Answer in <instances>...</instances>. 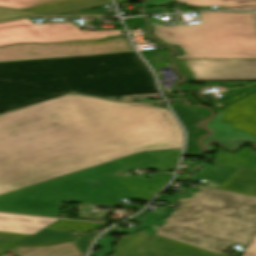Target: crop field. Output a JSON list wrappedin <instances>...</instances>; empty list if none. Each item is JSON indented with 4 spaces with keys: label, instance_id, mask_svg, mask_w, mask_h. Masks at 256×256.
Returning a JSON list of instances; mask_svg holds the SVG:
<instances>
[{
    "label": "crop field",
    "instance_id": "20",
    "mask_svg": "<svg viewBox=\"0 0 256 256\" xmlns=\"http://www.w3.org/2000/svg\"><path fill=\"white\" fill-rule=\"evenodd\" d=\"M98 232H100V231H96V232L81 236L74 241L77 248L79 249V251L81 252V254L83 256L86 255V253L89 249V241H92L95 238L94 234H96Z\"/></svg>",
    "mask_w": 256,
    "mask_h": 256
},
{
    "label": "crop field",
    "instance_id": "24",
    "mask_svg": "<svg viewBox=\"0 0 256 256\" xmlns=\"http://www.w3.org/2000/svg\"><path fill=\"white\" fill-rule=\"evenodd\" d=\"M241 256H256V229L249 246Z\"/></svg>",
    "mask_w": 256,
    "mask_h": 256
},
{
    "label": "crop field",
    "instance_id": "22",
    "mask_svg": "<svg viewBox=\"0 0 256 256\" xmlns=\"http://www.w3.org/2000/svg\"><path fill=\"white\" fill-rule=\"evenodd\" d=\"M191 6H217L223 5V0H175Z\"/></svg>",
    "mask_w": 256,
    "mask_h": 256
},
{
    "label": "crop field",
    "instance_id": "25",
    "mask_svg": "<svg viewBox=\"0 0 256 256\" xmlns=\"http://www.w3.org/2000/svg\"><path fill=\"white\" fill-rule=\"evenodd\" d=\"M175 62H177L180 66V72H182L184 75L188 76L190 80H196L194 75L186 68L183 59H174Z\"/></svg>",
    "mask_w": 256,
    "mask_h": 256
},
{
    "label": "crop field",
    "instance_id": "13",
    "mask_svg": "<svg viewBox=\"0 0 256 256\" xmlns=\"http://www.w3.org/2000/svg\"><path fill=\"white\" fill-rule=\"evenodd\" d=\"M212 163L256 169V151L251 152V148H245L242 151L230 153L219 149Z\"/></svg>",
    "mask_w": 256,
    "mask_h": 256
},
{
    "label": "crop field",
    "instance_id": "1",
    "mask_svg": "<svg viewBox=\"0 0 256 256\" xmlns=\"http://www.w3.org/2000/svg\"><path fill=\"white\" fill-rule=\"evenodd\" d=\"M182 144L168 109L72 94L0 116V195Z\"/></svg>",
    "mask_w": 256,
    "mask_h": 256
},
{
    "label": "crop field",
    "instance_id": "12",
    "mask_svg": "<svg viewBox=\"0 0 256 256\" xmlns=\"http://www.w3.org/2000/svg\"><path fill=\"white\" fill-rule=\"evenodd\" d=\"M9 252L17 256H82L73 242L53 246L17 247Z\"/></svg>",
    "mask_w": 256,
    "mask_h": 256
},
{
    "label": "crop field",
    "instance_id": "16",
    "mask_svg": "<svg viewBox=\"0 0 256 256\" xmlns=\"http://www.w3.org/2000/svg\"><path fill=\"white\" fill-rule=\"evenodd\" d=\"M221 188L256 195V170L242 168Z\"/></svg>",
    "mask_w": 256,
    "mask_h": 256
},
{
    "label": "crop field",
    "instance_id": "9",
    "mask_svg": "<svg viewBox=\"0 0 256 256\" xmlns=\"http://www.w3.org/2000/svg\"><path fill=\"white\" fill-rule=\"evenodd\" d=\"M77 237L71 232L42 229L33 235L0 232V254L16 245H51L62 241H74Z\"/></svg>",
    "mask_w": 256,
    "mask_h": 256
},
{
    "label": "crop field",
    "instance_id": "29",
    "mask_svg": "<svg viewBox=\"0 0 256 256\" xmlns=\"http://www.w3.org/2000/svg\"><path fill=\"white\" fill-rule=\"evenodd\" d=\"M146 13L150 14V13H165V12L163 9H150V10H147Z\"/></svg>",
    "mask_w": 256,
    "mask_h": 256
},
{
    "label": "crop field",
    "instance_id": "2",
    "mask_svg": "<svg viewBox=\"0 0 256 256\" xmlns=\"http://www.w3.org/2000/svg\"><path fill=\"white\" fill-rule=\"evenodd\" d=\"M72 91L111 97L158 89L136 52L0 63V111Z\"/></svg>",
    "mask_w": 256,
    "mask_h": 256
},
{
    "label": "crop field",
    "instance_id": "31",
    "mask_svg": "<svg viewBox=\"0 0 256 256\" xmlns=\"http://www.w3.org/2000/svg\"><path fill=\"white\" fill-rule=\"evenodd\" d=\"M116 2H130L129 0H115Z\"/></svg>",
    "mask_w": 256,
    "mask_h": 256
},
{
    "label": "crop field",
    "instance_id": "10",
    "mask_svg": "<svg viewBox=\"0 0 256 256\" xmlns=\"http://www.w3.org/2000/svg\"><path fill=\"white\" fill-rule=\"evenodd\" d=\"M55 219L0 214V231L33 234Z\"/></svg>",
    "mask_w": 256,
    "mask_h": 256
},
{
    "label": "crop field",
    "instance_id": "15",
    "mask_svg": "<svg viewBox=\"0 0 256 256\" xmlns=\"http://www.w3.org/2000/svg\"><path fill=\"white\" fill-rule=\"evenodd\" d=\"M171 108L183 123L188 133L206 132L198 129L196 127V123L209 117L208 110L189 108L184 106L182 103L171 106Z\"/></svg>",
    "mask_w": 256,
    "mask_h": 256
},
{
    "label": "crop field",
    "instance_id": "18",
    "mask_svg": "<svg viewBox=\"0 0 256 256\" xmlns=\"http://www.w3.org/2000/svg\"><path fill=\"white\" fill-rule=\"evenodd\" d=\"M64 0H0V6L24 9Z\"/></svg>",
    "mask_w": 256,
    "mask_h": 256
},
{
    "label": "crop field",
    "instance_id": "11",
    "mask_svg": "<svg viewBox=\"0 0 256 256\" xmlns=\"http://www.w3.org/2000/svg\"><path fill=\"white\" fill-rule=\"evenodd\" d=\"M223 112L220 111L216 114L215 118L210 122L206 123L207 127L213 130L215 133L209 137L211 139L220 140L222 144L231 147L226 141H234L243 139L244 141H252L256 143V137L243 132L225 122L222 121Z\"/></svg>",
    "mask_w": 256,
    "mask_h": 256
},
{
    "label": "crop field",
    "instance_id": "30",
    "mask_svg": "<svg viewBox=\"0 0 256 256\" xmlns=\"http://www.w3.org/2000/svg\"><path fill=\"white\" fill-rule=\"evenodd\" d=\"M166 98H178L177 95H170V96H165Z\"/></svg>",
    "mask_w": 256,
    "mask_h": 256
},
{
    "label": "crop field",
    "instance_id": "5",
    "mask_svg": "<svg viewBox=\"0 0 256 256\" xmlns=\"http://www.w3.org/2000/svg\"><path fill=\"white\" fill-rule=\"evenodd\" d=\"M199 14L197 25H153V35L185 51L171 58H256V13Z\"/></svg>",
    "mask_w": 256,
    "mask_h": 256
},
{
    "label": "crop field",
    "instance_id": "17",
    "mask_svg": "<svg viewBox=\"0 0 256 256\" xmlns=\"http://www.w3.org/2000/svg\"><path fill=\"white\" fill-rule=\"evenodd\" d=\"M237 168L217 165L210 170L200 169V173L195 175L197 179L223 182L229 175H231Z\"/></svg>",
    "mask_w": 256,
    "mask_h": 256
},
{
    "label": "crop field",
    "instance_id": "8",
    "mask_svg": "<svg viewBox=\"0 0 256 256\" xmlns=\"http://www.w3.org/2000/svg\"><path fill=\"white\" fill-rule=\"evenodd\" d=\"M197 80L256 79V60H184Z\"/></svg>",
    "mask_w": 256,
    "mask_h": 256
},
{
    "label": "crop field",
    "instance_id": "3",
    "mask_svg": "<svg viewBox=\"0 0 256 256\" xmlns=\"http://www.w3.org/2000/svg\"><path fill=\"white\" fill-rule=\"evenodd\" d=\"M177 150L139 153L0 196V212L56 217L62 201L142 209L121 198L149 201L173 174L120 175L135 168L175 170Z\"/></svg>",
    "mask_w": 256,
    "mask_h": 256
},
{
    "label": "crop field",
    "instance_id": "6",
    "mask_svg": "<svg viewBox=\"0 0 256 256\" xmlns=\"http://www.w3.org/2000/svg\"><path fill=\"white\" fill-rule=\"evenodd\" d=\"M117 35H122L121 30L80 31L73 23L35 25L28 18L0 23V46L15 43L100 40Z\"/></svg>",
    "mask_w": 256,
    "mask_h": 256
},
{
    "label": "crop field",
    "instance_id": "23",
    "mask_svg": "<svg viewBox=\"0 0 256 256\" xmlns=\"http://www.w3.org/2000/svg\"><path fill=\"white\" fill-rule=\"evenodd\" d=\"M27 15H41V14H35V13L22 12V11L0 8V20L22 17V16H27Z\"/></svg>",
    "mask_w": 256,
    "mask_h": 256
},
{
    "label": "crop field",
    "instance_id": "27",
    "mask_svg": "<svg viewBox=\"0 0 256 256\" xmlns=\"http://www.w3.org/2000/svg\"><path fill=\"white\" fill-rule=\"evenodd\" d=\"M104 12L99 13L98 10H89V11H76L68 14H63V15H103Z\"/></svg>",
    "mask_w": 256,
    "mask_h": 256
},
{
    "label": "crop field",
    "instance_id": "21",
    "mask_svg": "<svg viewBox=\"0 0 256 256\" xmlns=\"http://www.w3.org/2000/svg\"><path fill=\"white\" fill-rule=\"evenodd\" d=\"M201 135H204V134L188 135V142H187V147L184 155L199 156L200 147L197 145L196 141Z\"/></svg>",
    "mask_w": 256,
    "mask_h": 256
},
{
    "label": "crop field",
    "instance_id": "26",
    "mask_svg": "<svg viewBox=\"0 0 256 256\" xmlns=\"http://www.w3.org/2000/svg\"><path fill=\"white\" fill-rule=\"evenodd\" d=\"M124 22H125L128 29H130L132 27H135V26H138L142 23H145L142 18L125 19Z\"/></svg>",
    "mask_w": 256,
    "mask_h": 256
},
{
    "label": "crop field",
    "instance_id": "7",
    "mask_svg": "<svg viewBox=\"0 0 256 256\" xmlns=\"http://www.w3.org/2000/svg\"><path fill=\"white\" fill-rule=\"evenodd\" d=\"M134 51L124 37L105 41L15 44L0 47V62Z\"/></svg>",
    "mask_w": 256,
    "mask_h": 256
},
{
    "label": "crop field",
    "instance_id": "14",
    "mask_svg": "<svg viewBox=\"0 0 256 256\" xmlns=\"http://www.w3.org/2000/svg\"><path fill=\"white\" fill-rule=\"evenodd\" d=\"M109 3H111L110 0H69V1L59 2V3L29 8L25 10L56 14V13L94 7V6H99V5L109 4Z\"/></svg>",
    "mask_w": 256,
    "mask_h": 256
},
{
    "label": "crop field",
    "instance_id": "28",
    "mask_svg": "<svg viewBox=\"0 0 256 256\" xmlns=\"http://www.w3.org/2000/svg\"><path fill=\"white\" fill-rule=\"evenodd\" d=\"M154 5L153 6H161L166 4L169 0H151Z\"/></svg>",
    "mask_w": 256,
    "mask_h": 256
},
{
    "label": "crop field",
    "instance_id": "19",
    "mask_svg": "<svg viewBox=\"0 0 256 256\" xmlns=\"http://www.w3.org/2000/svg\"><path fill=\"white\" fill-rule=\"evenodd\" d=\"M225 9L256 10V0H224Z\"/></svg>",
    "mask_w": 256,
    "mask_h": 256
},
{
    "label": "crop field",
    "instance_id": "4",
    "mask_svg": "<svg viewBox=\"0 0 256 256\" xmlns=\"http://www.w3.org/2000/svg\"><path fill=\"white\" fill-rule=\"evenodd\" d=\"M179 199L157 235L219 254L232 243L248 246L256 226V196L199 187Z\"/></svg>",
    "mask_w": 256,
    "mask_h": 256
}]
</instances>
